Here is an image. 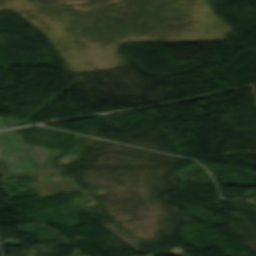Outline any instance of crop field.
<instances>
[{"label": "crop field", "instance_id": "crop-field-1", "mask_svg": "<svg viewBox=\"0 0 256 256\" xmlns=\"http://www.w3.org/2000/svg\"><path fill=\"white\" fill-rule=\"evenodd\" d=\"M0 150L6 154L5 159L12 173L34 168L10 131L0 132ZM0 156H2L1 152Z\"/></svg>", "mask_w": 256, "mask_h": 256}, {"label": "crop field", "instance_id": "crop-field-2", "mask_svg": "<svg viewBox=\"0 0 256 256\" xmlns=\"http://www.w3.org/2000/svg\"><path fill=\"white\" fill-rule=\"evenodd\" d=\"M4 128H6V126H5L2 118L0 117V129H4Z\"/></svg>", "mask_w": 256, "mask_h": 256}]
</instances>
